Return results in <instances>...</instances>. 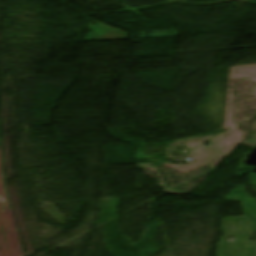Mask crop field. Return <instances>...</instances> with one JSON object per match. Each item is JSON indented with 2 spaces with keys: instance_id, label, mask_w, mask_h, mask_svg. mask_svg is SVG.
Masks as SVG:
<instances>
[{
  "instance_id": "obj_1",
  "label": "crop field",
  "mask_w": 256,
  "mask_h": 256,
  "mask_svg": "<svg viewBox=\"0 0 256 256\" xmlns=\"http://www.w3.org/2000/svg\"><path fill=\"white\" fill-rule=\"evenodd\" d=\"M193 1H195V0H193Z\"/></svg>"
}]
</instances>
